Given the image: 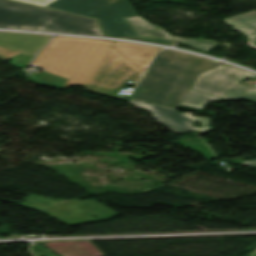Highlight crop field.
Listing matches in <instances>:
<instances>
[{
    "label": "crop field",
    "mask_w": 256,
    "mask_h": 256,
    "mask_svg": "<svg viewBox=\"0 0 256 256\" xmlns=\"http://www.w3.org/2000/svg\"><path fill=\"white\" fill-rule=\"evenodd\" d=\"M246 76L253 78L256 75L229 65H222L204 74L198 75L192 88L225 99H246L256 101V87L238 83ZM195 90H189L182 105L203 109L205 102L220 99ZM250 92H253V94Z\"/></svg>",
    "instance_id": "412701ff"
},
{
    "label": "crop field",
    "mask_w": 256,
    "mask_h": 256,
    "mask_svg": "<svg viewBox=\"0 0 256 256\" xmlns=\"http://www.w3.org/2000/svg\"><path fill=\"white\" fill-rule=\"evenodd\" d=\"M227 22L238 32L247 34L250 44L256 47V11L232 17Z\"/></svg>",
    "instance_id": "d1516ede"
},
{
    "label": "crop field",
    "mask_w": 256,
    "mask_h": 256,
    "mask_svg": "<svg viewBox=\"0 0 256 256\" xmlns=\"http://www.w3.org/2000/svg\"><path fill=\"white\" fill-rule=\"evenodd\" d=\"M128 102L138 108L151 112L158 123L168 127L176 134L186 131L208 132L213 130V127H206V125L211 124L208 117H192L191 114H181L173 109L162 108L133 99H130ZM191 122H201L203 127L195 128L192 126Z\"/></svg>",
    "instance_id": "e52e79f7"
},
{
    "label": "crop field",
    "mask_w": 256,
    "mask_h": 256,
    "mask_svg": "<svg viewBox=\"0 0 256 256\" xmlns=\"http://www.w3.org/2000/svg\"><path fill=\"white\" fill-rule=\"evenodd\" d=\"M113 47L138 65L143 71H145L154 53L161 50V48L121 42H115Z\"/></svg>",
    "instance_id": "28ad6ade"
},
{
    "label": "crop field",
    "mask_w": 256,
    "mask_h": 256,
    "mask_svg": "<svg viewBox=\"0 0 256 256\" xmlns=\"http://www.w3.org/2000/svg\"><path fill=\"white\" fill-rule=\"evenodd\" d=\"M31 59H32L31 56L19 54L12 57L10 63L21 68L23 65H27Z\"/></svg>",
    "instance_id": "22f410ed"
},
{
    "label": "crop field",
    "mask_w": 256,
    "mask_h": 256,
    "mask_svg": "<svg viewBox=\"0 0 256 256\" xmlns=\"http://www.w3.org/2000/svg\"><path fill=\"white\" fill-rule=\"evenodd\" d=\"M127 21L131 25V27L133 28L137 36H152L157 38L178 41L204 51L210 50L212 47L216 45V43L209 42V41L180 39V38L170 37L164 30L146 23L145 21H143L141 18L137 16L127 18Z\"/></svg>",
    "instance_id": "5a996713"
},
{
    "label": "crop field",
    "mask_w": 256,
    "mask_h": 256,
    "mask_svg": "<svg viewBox=\"0 0 256 256\" xmlns=\"http://www.w3.org/2000/svg\"><path fill=\"white\" fill-rule=\"evenodd\" d=\"M142 72L111 48L86 90L114 96L126 79L138 80Z\"/></svg>",
    "instance_id": "dd49c442"
},
{
    "label": "crop field",
    "mask_w": 256,
    "mask_h": 256,
    "mask_svg": "<svg viewBox=\"0 0 256 256\" xmlns=\"http://www.w3.org/2000/svg\"><path fill=\"white\" fill-rule=\"evenodd\" d=\"M57 22H58L57 20L49 19V20L45 21L44 26L52 28Z\"/></svg>",
    "instance_id": "5142ce71"
},
{
    "label": "crop field",
    "mask_w": 256,
    "mask_h": 256,
    "mask_svg": "<svg viewBox=\"0 0 256 256\" xmlns=\"http://www.w3.org/2000/svg\"><path fill=\"white\" fill-rule=\"evenodd\" d=\"M233 162H236V163H239V164H242V165L256 166V160H253V161H241V160H236V161H233Z\"/></svg>",
    "instance_id": "cbeb9de0"
},
{
    "label": "crop field",
    "mask_w": 256,
    "mask_h": 256,
    "mask_svg": "<svg viewBox=\"0 0 256 256\" xmlns=\"http://www.w3.org/2000/svg\"><path fill=\"white\" fill-rule=\"evenodd\" d=\"M22 205L34 207L39 210H46L48 214L69 226L109 218L116 214V212L93 200L63 201L29 196ZM85 212H90L99 216V218L94 219L90 215L85 214ZM71 218H74V220H71Z\"/></svg>",
    "instance_id": "f4fd0767"
},
{
    "label": "crop field",
    "mask_w": 256,
    "mask_h": 256,
    "mask_svg": "<svg viewBox=\"0 0 256 256\" xmlns=\"http://www.w3.org/2000/svg\"><path fill=\"white\" fill-rule=\"evenodd\" d=\"M218 65L220 62L182 52H160L131 97L177 109L197 75Z\"/></svg>",
    "instance_id": "8a807250"
},
{
    "label": "crop field",
    "mask_w": 256,
    "mask_h": 256,
    "mask_svg": "<svg viewBox=\"0 0 256 256\" xmlns=\"http://www.w3.org/2000/svg\"><path fill=\"white\" fill-rule=\"evenodd\" d=\"M62 10L97 19L106 36L142 40L165 45L178 42L152 37H137L127 23V17L136 15L128 0H15Z\"/></svg>",
    "instance_id": "ac0d7876"
},
{
    "label": "crop field",
    "mask_w": 256,
    "mask_h": 256,
    "mask_svg": "<svg viewBox=\"0 0 256 256\" xmlns=\"http://www.w3.org/2000/svg\"><path fill=\"white\" fill-rule=\"evenodd\" d=\"M51 38L43 35L0 32V58L5 60L19 53L33 56Z\"/></svg>",
    "instance_id": "d8731c3e"
},
{
    "label": "crop field",
    "mask_w": 256,
    "mask_h": 256,
    "mask_svg": "<svg viewBox=\"0 0 256 256\" xmlns=\"http://www.w3.org/2000/svg\"><path fill=\"white\" fill-rule=\"evenodd\" d=\"M49 18L60 21L52 29L42 26ZM0 28L103 36L95 20L6 0H0Z\"/></svg>",
    "instance_id": "34b2d1b8"
},
{
    "label": "crop field",
    "mask_w": 256,
    "mask_h": 256,
    "mask_svg": "<svg viewBox=\"0 0 256 256\" xmlns=\"http://www.w3.org/2000/svg\"><path fill=\"white\" fill-rule=\"evenodd\" d=\"M61 256H104L91 241L39 243Z\"/></svg>",
    "instance_id": "3316defc"
}]
</instances>
